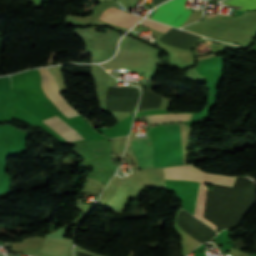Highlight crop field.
Masks as SVG:
<instances>
[{
	"label": "crop field",
	"instance_id": "crop-field-1",
	"mask_svg": "<svg viewBox=\"0 0 256 256\" xmlns=\"http://www.w3.org/2000/svg\"><path fill=\"white\" fill-rule=\"evenodd\" d=\"M170 166L185 164L186 138L182 124L166 125ZM131 148L140 168L153 167L150 137L132 138Z\"/></svg>",
	"mask_w": 256,
	"mask_h": 256
},
{
	"label": "crop field",
	"instance_id": "crop-field-2",
	"mask_svg": "<svg viewBox=\"0 0 256 256\" xmlns=\"http://www.w3.org/2000/svg\"><path fill=\"white\" fill-rule=\"evenodd\" d=\"M42 79V88L47 94L48 98L54 103V105L64 113L68 118L79 115L74 111L62 98L55 81L53 80L51 74L47 69H39ZM49 127L59 133L69 142L83 140L78 133H76L72 128H70L66 123H64L57 116L44 120Z\"/></svg>",
	"mask_w": 256,
	"mask_h": 256
},
{
	"label": "crop field",
	"instance_id": "crop-field-3",
	"mask_svg": "<svg viewBox=\"0 0 256 256\" xmlns=\"http://www.w3.org/2000/svg\"><path fill=\"white\" fill-rule=\"evenodd\" d=\"M165 179L200 181L209 184L223 185L232 187L236 178L233 176H224L209 174L196 169L191 165H182L176 167L163 168Z\"/></svg>",
	"mask_w": 256,
	"mask_h": 256
},
{
	"label": "crop field",
	"instance_id": "crop-field-4",
	"mask_svg": "<svg viewBox=\"0 0 256 256\" xmlns=\"http://www.w3.org/2000/svg\"><path fill=\"white\" fill-rule=\"evenodd\" d=\"M186 0H171L157 8L152 19L171 26H180L188 17L191 10L185 9Z\"/></svg>",
	"mask_w": 256,
	"mask_h": 256
},
{
	"label": "crop field",
	"instance_id": "crop-field-5",
	"mask_svg": "<svg viewBox=\"0 0 256 256\" xmlns=\"http://www.w3.org/2000/svg\"><path fill=\"white\" fill-rule=\"evenodd\" d=\"M67 227H61L54 233L47 234L40 252L55 256H67L71 243V240L64 239Z\"/></svg>",
	"mask_w": 256,
	"mask_h": 256
},
{
	"label": "crop field",
	"instance_id": "crop-field-6",
	"mask_svg": "<svg viewBox=\"0 0 256 256\" xmlns=\"http://www.w3.org/2000/svg\"><path fill=\"white\" fill-rule=\"evenodd\" d=\"M140 19L141 18L138 16L128 14L124 11H121L112 7L105 8L100 17V20H103L127 29H129L134 24H136Z\"/></svg>",
	"mask_w": 256,
	"mask_h": 256
},
{
	"label": "crop field",
	"instance_id": "crop-field-7",
	"mask_svg": "<svg viewBox=\"0 0 256 256\" xmlns=\"http://www.w3.org/2000/svg\"><path fill=\"white\" fill-rule=\"evenodd\" d=\"M151 123L187 120L185 114L147 115Z\"/></svg>",
	"mask_w": 256,
	"mask_h": 256
},
{
	"label": "crop field",
	"instance_id": "crop-field-8",
	"mask_svg": "<svg viewBox=\"0 0 256 256\" xmlns=\"http://www.w3.org/2000/svg\"><path fill=\"white\" fill-rule=\"evenodd\" d=\"M222 2L240 6V10H256V0H224Z\"/></svg>",
	"mask_w": 256,
	"mask_h": 256
},
{
	"label": "crop field",
	"instance_id": "crop-field-9",
	"mask_svg": "<svg viewBox=\"0 0 256 256\" xmlns=\"http://www.w3.org/2000/svg\"><path fill=\"white\" fill-rule=\"evenodd\" d=\"M140 24L148 26V27L153 28L155 30L161 31L163 33H165L167 30L170 29V27H168V26H165V25H162L160 23H157V22H154V21H151V20H147V19H144L143 21H141Z\"/></svg>",
	"mask_w": 256,
	"mask_h": 256
},
{
	"label": "crop field",
	"instance_id": "crop-field-10",
	"mask_svg": "<svg viewBox=\"0 0 256 256\" xmlns=\"http://www.w3.org/2000/svg\"><path fill=\"white\" fill-rule=\"evenodd\" d=\"M0 92H11L9 76L0 77Z\"/></svg>",
	"mask_w": 256,
	"mask_h": 256
}]
</instances>
